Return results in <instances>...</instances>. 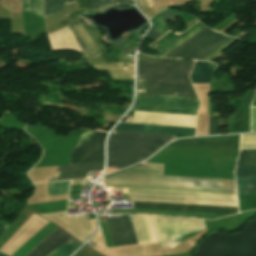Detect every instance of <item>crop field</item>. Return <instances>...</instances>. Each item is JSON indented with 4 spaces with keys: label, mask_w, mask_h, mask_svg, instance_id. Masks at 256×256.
I'll list each match as a JSON object with an SVG mask.
<instances>
[{
    "label": "crop field",
    "mask_w": 256,
    "mask_h": 256,
    "mask_svg": "<svg viewBox=\"0 0 256 256\" xmlns=\"http://www.w3.org/2000/svg\"><path fill=\"white\" fill-rule=\"evenodd\" d=\"M50 196L68 194L69 181L48 183Z\"/></svg>",
    "instance_id": "24"
},
{
    "label": "crop field",
    "mask_w": 256,
    "mask_h": 256,
    "mask_svg": "<svg viewBox=\"0 0 256 256\" xmlns=\"http://www.w3.org/2000/svg\"><path fill=\"white\" fill-rule=\"evenodd\" d=\"M77 2V0H44L45 17L60 12L66 5Z\"/></svg>",
    "instance_id": "19"
},
{
    "label": "crop field",
    "mask_w": 256,
    "mask_h": 256,
    "mask_svg": "<svg viewBox=\"0 0 256 256\" xmlns=\"http://www.w3.org/2000/svg\"><path fill=\"white\" fill-rule=\"evenodd\" d=\"M136 95L198 99L192 85L137 80ZM136 96L131 110L196 115L199 100Z\"/></svg>",
    "instance_id": "2"
},
{
    "label": "crop field",
    "mask_w": 256,
    "mask_h": 256,
    "mask_svg": "<svg viewBox=\"0 0 256 256\" xmlns=\"http://www.w3.org/2000/svg\"><path fill=\"white\" fill-rule=\"evenodd\" d=\"M103 164L104 163L75 165V166H69V165L59 166L55 176L79 175V174H87L88 172L102 171ZM85 177H86V175L51 177L48 179V181L78 179V178H85Z\"/></svg>",
    "instance_id": "15"
},
{
    "label": "crop field",
    "mask_w": 256,
    "mask_h": 256,
    "mask_svg": "<svg viewBox=\"0 0 256 256\" xmlns=\"http://www.w3.org/2000/svg\"><path fill=\"white\" fill-rule=\"evenodd\" d=\"M194 62L138 57L137 79L191 84Z\"/></svg>",
    "instance_id": "5"
},
{
    "label": "crop field",
    "mask_w": 256,
    "mask_h": 256,
    "mask_svg": "<svg viewBox=\"0 0 256 256\" xmlns=\"http://www.w3.org/2000/svg\"><path fill=\"white\" fill-rule=\"evenodd\" d=\"M107 133L89 131L79 140V147H74L70 164L104 162V141Z\"/></svg>",
    "instance_id": "9"
},
{
    "label": "crop field",
    "mask_w": 256,
    "mask_h": 256,
    "mask_svg": "<svg viewBox=\"0 0 256 256\" xmlns=\"http://www.w3.org/2000/svg\"><path fill=\"white\" fill-rule=\"evenodd\" d=\"M162 36L154 27L151 28L149 33L146 35V38L156 40L158 37Z\"/></svg>",
    "instance_id": "29"
},
{
    "label": "crop field",
    "mask_w": 256,
    "mask_h": 256,
    "mask_svg": "<svg viewBox=\"0 0 256 256\" xmlns=\"http://www.w3.org/2000/svg\"><path fill=\"white\" fill-rule=\"evenodd\" d=\"M120 5L133 4L132 0H119Z\"/></svg>",
    "instance_id": "36"
},
{
    "label": "crop field",
    "mask_w": 256,
    "mask_h": 256,
    "mask_svg": "<svg viewBox=\"0 0 256 256\" xmlns=\"http://www.w3.org/2000/svg\"><path fill=\"white\" fill-rule=\"evenodd\" d=\"M252 131H256V108H252Z\"/></svg>",
    "instance_id": "32"
},
{
    "label": "crop field",
    "mask_w": 256,
    "mask_h": 256,
    "mask_svg": "<svg viewBox=\"0 0 256 256\" xmlns=\"http://www.w3.org/2000/svg\"><path fill=\"white\" fill-rule=\"evenodd\" d=\"M134 208L176 210V211H192V212H208V213H224V214L238 213L237 207L207 206V205H186V204H166V203H146V202H134Z\"/></svg>",
    "instance_id": "10"
},
{
    "label": "crop field",
    "mask_w": 256,
    "mask_h": 256,
    "mask_svg": "<svg viewBox=\"0 0 256 256\" xmlns=\"http://www.w3.org/2000/svg\"><path fill=\"white\" fill-rule=\"evenodd\" d=\"M162 165H141L103 180L104 186L236 194L234 180L161 176Z\"/></svg>",
    "instance_id": "1"
},
{
    "label": "crop field",
    "mask_w": 256,
    "mask_h": 256,
    "mask_svg": "<svg viewBox=\"0 0 256 256\" xmlns=\"http://www.w3.org/2000/svg\"><path fill=\"white\" fill-rule=\"evenodd\" d=\"M107 221L114 246L138 243L129 215L107 218Z\"/></svg>",
    "instance_id": "11"
},
{
    "label": "crop field",
    "mask_w": 256,
    "mask_h": 256,
    "mask_svg": "<svg viewBox=\"0 0 256 256\" xmlns=\"http://www.w3.org/2000/svg\"><path fill=\"white\" fill-rule=\"evenodd\" d=\"M139 39H140V37L135 36V37L130 41V43H132V44H134V45H137Z\"/></svg>",
    "instance_id": "38"
},
{
    "label": "crop field",
    "mask_w": 256,
    "mask_h": 256,
    "mask_svg": "<svg viewBox=\"0 0 256 256\" xmlns=\"http://www.w3.org/2000/svg\"><path fill=\"white\" fill-rule=\"evenodd\" d=\"M125 196H144V197H160V198H176V199H193V200H211V201H229V202H237L236 200H228V199L194 198V197L144 195V194H125Z\"/></svg>",
    "instance_id": "25"
},
{
    "label": "crop field",
    "mask_w": 256,
    "mask_h": 256,
    "mask_svg": "<svg viewBox=\"0 0 256 256\" xmlns=\"http://www.w3.org/2000/svg\"><path fill=\"white\" fill-rule=\"evenodd\" d=\"M105 7V0H99V8Z\"/></svg>",
    "instance_id": "41"
},
{
    "label": "crop field",
    "mask_w": 256,
    "mask_h": 256,
    "mask_svg": "<svg viewBox=\"0 0 256 256\" xmlns=\"http://www.w3.org/2000/svg\"><path fill=\"white\" fill-rule=\"evenodd\" d=\"M195 121H196V116H190V115H176V114L134 111L133 119L130 122L195 127ZM133 123H119L115 127V129L174 133V134H188V135H194V131H195V128H189V127H175V126H161V125H147V124H133Z\"/></svg>",
    "instance_id": "4"
},
{
    "label": "crop field",
    "mask_w": 256,
    "mask_h": 256,
    "mask_svg": "<svg viewBox=\"0 0 256 256\" xmlns=\"http://www.w3.org/2000/svg\"><path fill=\"white\" fill-rule=\"evenodd\" d=\"M147 1H148V4H149V7L152 6L153 4H155L154 0H147Z\"/></svg>",
    "instance_id": "42"
},
{
    "label": "crop field",
    "mask_w": 256,
    "mask_h": 256,
    "mask_svg": "<svg viewBox=\"0 0 256 256\" xmlns=\"http://www.w3.org/2000/svg\"><path fill=\"white\" fill-rule=\"evenodd\" d=\"M256 141V135H242L241 142H253Z\"/></svg>",
    "instance_id": "30"
},
{
    "label": "crop field",
    "mask_w": 256,
    "mask_h": 256,
    "mask_svg": "<svg viewBox=\"0 0 256 256\" xmlns=\"http://www.w3.org/2000/svg\"><path fill=\"white\" fill-rule=\"evenodd\" d=\"M71 238L73 237L57 227L26 256H47Z\"/></svg>",
    "instance_id": "12"
},
{
    "label": "crop field",
    "mask_w": 256,
    "mask_h": 256,
    "mask_svg": "<svg viewBox=\"0 0 256 256\" xmlns=\"http://www.w3.org/2000/svg\"><path fill=\"white\" fill-rule=\"evenodd\" d=\"M22 9L44 17L43 0H21Z\"/></svg>",
    "instance_id": "22"
},
{
    "label": "crop field",
    "mask_w": 256,
    "mask_h": 256,
    "mask_svg": "<svg viewBox=\"0 0 256 256\" xmlns=\"http://www.w3.org/2000/svg\"><path fill=\"white\" fill-rule=\"evenodd\" d=\"M232 39L233 37L205 27L164 56L203 60Z\"/></svg>",
    "instance_id": "6"
},
{
    "label": "crop field",
    "mask_w": 256,
    "mask_h": 256,
    "mask_svg": "<svg viewBox=\"0 0 256 256\" xmlns=\"http://www.w3.org/2000/svg\"><path fill=\"white\" fill-rule=\"evenodd\" d=\"M113 3H119V1L118 0H106V6L113 4Z\"/></svg>",
    "instance_id": "40"
},
{
    "label": "crop field",
    "mask_w": 256,
    "mask_h": 256,
    "mask_svg": "<svg viewBox=\"0 0 256 256\" xmlns=\"http://www.w3.org/2000/svg\"><path fill=\"white\" fill-rule=\"evenodd\" d=\"M81 243L76 239H71L70 241L66 242L54 252H52L48 256H68L71 254Z\"/></svg>",
    "instance_id": "21"
},
{
    "label": "crop field",
    "mask_w": 256,
    "mask_h": 256,
    "mask_svg": "<svg viewBox=\"0 0 256 256\" xmlns=\"http://www.w3.org/2000/svg\"><path fill=\"white\" fill-rule=\"evenodd\" d=\"M237 183H256V165L255 166H237ZM238 193H256V184H237Z\"/></svg>",
    "instance_id": "16"
},
{
    "label": "crop field",
    "mask_w": 256,
    "mask_h": 256,
    "mask_svg": "<svg viewBox=\"0 0 256 256\" xmlns=\"http://www.w3.org/2000/svg\"><path fill=\"white\" fill-rule=\"evenodd\" d=\"M152 216L162 249L170 248L168 240L206 227L201 219Z\"/></svg>",
    "instance_id": "8"
},
{
    "label": "crop field",
    "mask_w": 256,
    "mask_h": 256,
    "mask_svg": "<svg viewBox=\"0 0 256 256\" xmlns=\"http://www.w3.org/2000/svg\"><path fill=\"white\" fill-rule=\"evenodd\" d=\"M138 7H148L146 0H136Z\"/></svg>",
    "instance_id": "34"
},
{
    "label": "crop field",
    "mask_w": 256,
    "mask_h": 256,
    "mask_svg": "<svg viewBox=\"0 0 256 256\" xmlns=\"http://www.w3.org/2000/svg\"><path fill=\"white\" fill-rule=\"evenodd\" d=\"M150 20L152 22V25L155 26L162 35L169 30L167 24L158 14Z\"/></svg>",
    "instance_id": "26"
},
{
    "label": "crop field",
    "mask_w": 256,
    "mask_h": 256,
    "mask_svg": "<svg viewBox=\"0 0 256 256\" xmlns=\"http://www.w3.org/2000/svg\"><path fill=\"white\" fill-rule=\"evenodd\" d=\"M98 8V0H93L92 2V10Z\"/></svg>",
    "instance_id": "39"
},
{
    "label": "crop field",
    "mask_w": 256,
    "mask_h": 256,
    "mask_svg": "<svg viewBox=\"0 0 256 256\" xmlns=\"http://www.w3.org/2000/svg\"><path fill=\"white\" fill-rule=\"evenodd\" d=\"M74 34L84 56L96 57L101 54L92 38L85 31L80 22H71L68 26ZM68 27L49 34L52 50L77 49L80 50Z\"/></svg>",
    "instance_id": "7"
},
{
    "label": "crop field",
    "mask_w": 256,
    "mask_h": 256,
    "mask_svg": "<svg viewBox=\"0 0 256 256\" xmlns=\"http://www.w3.org/2000/svg\"><path fill=\"white\" fill-rule=\"evenodd\" d=\"M8 228V225H5L3 223H0V238L5 233L6 229ZM0 256H6L0 253Z\"/></svg>",
    "instance_id": "33"
},
{
    "label": "crop field",
    "mask_w": 256,
    "mask_h": 256,
    "mask_svg": "<svg viewBox=\"0 0 256 256\" xmlns=\"http://www.w3.org/2000/svg\"><path fill=\"white\" fill-rule=\"evenodd\" d=\"M130 201H146V202H166V203H187V204H207V205L237 206V203L209 202V201H191V200L174 201V200H158V199L130 198Z\"/></svg>",
    "instance_id": "20"
},
{
    "label": "crop field",
    "mask_w": 256,
    "mask_h": 256,
    "mask_svg": "<svg viewBox=\"0 0 256 256\" xmlns=\"http://www.w3.org/2000/svg\"><path fill=\"white\" fill-rule=\"evenodd\" d=\"M158 14L165 20V22L175 18L168 8L160 11Z\"/></svg>",
    "instance_id": "28"
},
{
    "label": "crop field",
    "mask_w": 256,
    "mask_h": 256,
    "mask_svg": "<svg viewBox=\"0 0 256 256\" xmlns=\"http://www.w3.org/2000/svg\"><path fill=\"white\" fill-rule=\"evenodd\" d=\"M119 50H121V51H123V52H125V53L131 54V55L134 56V52L131 51V50H129V49H127V48L124 47V46H123L122 48H120Z\"/></svg>",
    "instance_id": "35"
},
{
    "label": "crop field",
    "mask_w": 256,
    "mask_h": 256,
    "mask_svg": "<svg viewBox=\"0 0 256 256\" xmlns=\"http://www.w3.org/2000/svg\"><path fill=\"white\" fill-rule=\"evenodd\" d=\"M215 64L196 61L190 79L192 83H209Z\"/></svg>",
    "instance_id": "18"
},
{
    "label": "crop field",
    "mask_w": 256,
    "mask_h": 256,
    "mask_svg": "<svg viewBox=\"0 0 256 256\" xmlns=\"http://www.w3.org/2000/svg\"><path fill=\"white\" fill-rule=\"evenodd\" d=\"M173 135L112 131L108 142V165L124 167L145 159L171 140Z\"/></svg>",
    "instance_id": "3"
},
{
    "label": "crop field",
    "mask_w": 256,
    "mask_h": 256,
    "mask_svg": "<svg viewBox=\"0 0 256 256\" xmlns=\"http://www.w3.org/2000/svg\"><path fill=\"white\" fill-rule=\"evenodd\" d=\"M209 134H219V116H210Z\"/></svg>",
    "instance_id": "27"
},
{
    "label": "crop field",
    "mask_w": 256,
    "mask_h": 256,
    "mask_svg": "<svg viewBox=\"0 0 256 256\" xmlns=\"http://www.w3.org/2000/svg\"><path fill=\"white\" fill-rule=\"evenodd\" d=\"M139 243L159 241L151 215H130Z\"/></svg>",
    "instance_id": "13"
},
{
    "label": "crop field",
    "mask_w": 256,
    "mask_h": 256,
    "mask_svg": "<svg viewBox=\"0 0 256 256\" xmlns=\"http://www.w3.org/2000/svg\"><path fill=\"white\" fill-rule=\"evenodd\" d=\"M203 27L205 26H203L198 22L194 26H192L190 29H188L186 32L181 34L180 36L175 35L174 33L171 32L168 35H166L164 38L156 42L158 44L157 46L153 48L152 47L153 45L152 46L150 45L151 46L150 48L161 51L156 56H162L168 51H170L172 48H174L175 46H177L178 44H180L181 42H183L184 40L192 36L194 33L202 29Z\"/></svg>",
    "instance_id": "14"
},
{
    "label": "crop field",
    "mask_w": 256,
    "mask_h": 256,
    "mask_svg": "<svg viewBox=\"0 0 256 256\" xmlns=\"http://www.w3.org/2000/svg\"><path fill=\"white\" fill-rule=\"evenodd\" d=\"M240 149H256V142L254 143H241Z\"/></svg>",
    "instance_id": "31"
},
{
    "label": "crop field",
    "mask_w": 256,
    "mask_h": 256,
    "mask_svg": "<svg viewBox=\"0 0 256 256\" xmlns=\"http://www.w3.org/2000/svg\"><path fill=\"white\" fill-rule=\"evenodd\" d=\"M256 150H240L237 165H255Z\"/></svg>",
    "instance_id": "23"
},
{
    "label": "crop field",
    "mask_w": 256,
    "mask_h": 256,
    "mask_svg": "<svg viewBox=\"0 0 256 256\" xmlns=\"http://www.w3.org/2000/svg\"><path fill=\"white\" fill-rule=\"evenodd\" d=\"M128 193H144V194H161V195H178V196L236 199V195H228V194L195 193V192L162 191V190L129 189V188H128Z\"/></svg>",
    "instance_id": "17"
},
{
    "label": "crop field",
    "mask_w": 256,
    "mask_h": 256,
    "mask_svg": "<svg viewBox=\"0 0 256 256\" xmlns=\"http://www.w3.org/2000/svg\"><path fill=\"white\" fill-rule=\"evenodd\" d=\"M86 5L91 7V0H86Z\"/></svg>",
    "instance_id": "43"
},
{
    "label": "crop field",
    "mask_w": 256,
    "mask_h": 256,
    "mask_svg": "<svg viewBox=\"0 0 256 256\" xmlns=\"http://www.w3.org/2000/svg\"><path fill=\"white\" fill-rule=\"evenodd\" d=\"M149 26V24H147V25H145V26H143V27H141V29H140V31L137 33V35H143V33H144V31L146 30V28Z\"/></svg>",
    "instance_id": "37"
}]
</instances>
